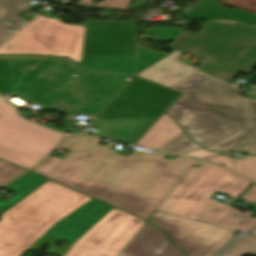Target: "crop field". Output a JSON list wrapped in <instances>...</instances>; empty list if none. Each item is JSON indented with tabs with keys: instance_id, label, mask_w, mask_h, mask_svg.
Instances as JSON below:
<instances>
[{
	"instance_id": "8a807250",
	"label": "crop field",
	"mask_w": 256,
	"mask_h": 256,
	"mask_svg": "<svg viewBox=\"0 0 256 256\" xmlns=\"http://www.w3.org/2000/svg\"><path fill=\"white\" fill-rule=\"evenodd\" d=\"M113 144L98 145L89 157L50 156L33 171L147 220L188 170L203 162L165 159L167 153L159 151L127 156L112 150Z\"/></svg>"
},
{
	"instance_id": "ac0d7876",
	"label": "crop field",
	"mask_w": 256,
	"mask_h": 256,
	"mask_svg": "<svg viewBox=\"0 0 256 256\" xmlns=\"http://www.w3.org/2000/svg\"><path fill=\"white\" fill-rule=\"evenodd\" d=\"M173 88L186 94L167 112L205 147L249 124L246 100L231 85L198 71Z\"/></svg>"
},
{
	"instance_id": "34b2d1b8",
	"label": "crop field",
	"mask_w": 256,
	"mask_h": 256,
	"mask_svg": "<svg viewBox=\"0 0 256 256\" xmlns=\"http://www.w3.org/2000/svg\"><path fill=\"white\" fill-rule=\"evenodd\" d=\"M81 66L66 58L0 56V94L14 93L40 107L69 113L88 104L79 89Z\"/></svg>"
},
{
	"instance_id": "412701ff",
	"label": "crop field",
	"mask_w": 256,
	"mask_h": 256,
	"mask_svg": "<svg viewBox=\"0 0 256 256\" xmlns=\"http://www.w3.org/2000/svg\"><path fill=\"white\" fill-rule=\"evenodd\" d=\"M91 199L48 181L1 216L0 256H21L57 222Z\"/></svg>"
},
{
	"instance_id": "f4fd0767",
	"label": "crop field",
	"mask_w": 256,
	"mask_h": 256,
	"mask_svg": "<svg viewBox=\"0 0 256 256\" xmlns=\"http://www.w3.org/2000/svg\"><path fill=\"white\" fill-rule=\"evenodd\" d=\"M179 95L135 77L90 127L101 129L96 136L135 144Z\"/></svg>"
},
{
	"instance_id": "dd49c442",
	"label": "crop field",
	"mask_w": 256,
	"mask_h": 256,
	"mask_svg": "<svg viewBox=\"0 0 256 256\" xmlns=\"http://www.w3.org/2000/svg\"><path fill=\"white\" fill-rule=\"evenodd\" d=\"M173 48L209 59L201 71L231 80L256 66V26L209 21L198 34L185 32Z\"/></svg>"
},
{
	"instance_id": "e52e79f7",
	"label": "crop field",
	"mask_w": 256,
	"mask_h": 256,
	"mask_svg": "<svg viewBox=\"0 0 256 256\" xmlns=\"http://www.w3.org/2000/svg\"><path fill=\"white\" fill-rule=\"evenodd\" d=\"M251 185L235 173L204 161L200 168L189 170L157 210L193 219L216 191L238 199Z\"/></svg>"
},
{
	"instance_id": "d8731c3e",
	"label": "crop field",
	"mask_w": 256,
	"mask_h": 256,
	"mask_svg": "<svg viewBox=\"0 0 256 256\" xmlns=\"http://www.w3.org/2000/svg\"><path fill=\"white\" fill-rule=\"evenodd\" d=\"M64 135L21 118L0 97V158L28 169L43 160Z\"/></svg>"
},
{
	"instance_id": "5a996713",
	"label": "crop field",
	"mask_w": 256,
	"mask_h": 256,
	"mask_svg": "<svg viewBox=\"0 0 256 256\" xmlns=\"http://www.w3.org/2000/svg\"><path fill=\"white\" fill-rule=\"evenodd\" d=\"M85 26L39 14L0 47V54L68 56L81 64Z\"/></svg>"
},
{
	"instance_id": "3316defc",
	"label": "crop field",
	"mask_w": 256,
	"mask_h": 256,
	"mask_svg": "<svg viewBox=\"0 0 256 256\" xmlns=\"http://www.w3.org/2000/svg\"><path fill=\"white\" fill-rule=\"evenodd\" d=\"M163 229L187 256H211L235 231L155 211L147 220Z\"/></svg>"
},
{
	"instance_id": "28ad6ade",
	"label": "crop field",
	"mask_w": 256,
	"mask_h": 256,
	"mask_svg": "<svg viewBox=\"0 0 256 256\" xmlns=\"http://www.w3.org/2000/svg\"><path fill=\"white\" fill-rule=\"evenodd\" d=\"M144 222L114 208L74 243L65 256H117Z\"/></svg>"
},
{
	"instance_id": "d1516ede",
	"label": "crop field",
	"mask_w": 256,
	"mask_h": 256,
	"mask_svg": "<svg viewBox=\"0 0 256 256\" xmlns=\"http://www.w3.org/2000/svg\"><path fill=\"white\" fill-rule=\"evenodd\" d=\"M123 53H136L132 21L87 22L83 55Z\"/></svg>"
},
{
	"instance_id": "22f410ed",
	"label": "crop field",
	"mask_w": 256,
	"mask_h": 256,
	"mask_svg": "<svg viewBox=\"0 0 256 256\" xmlns=\"http://www.w3.org/2000/svg\"><path fill=\"white\" fill-rule=\"evenodd\" d=\"M111 209L113 207L93 199L57 223L46 235L72 245Z\"/></svg>"
},
{
	"instance_id": "cbeb9de0",
	"label": "crop field",
	"mask_w": 256,
	"mask_h": 256,
	"mask_svg": "<svg viewBox=\"0 0 256 256\" xmlns=\"http://www.w3.org/2000/svg\"><path fill=\"white\" fill-rule=\"evenodd\" d=\"M118 256H184L155 226L145 222Z\"/></svg>"
},
{
	"instance_id": "5142ce71",
	"label": "crop field",
	"mask_w": 256,
	"mask_h": 256,
	"mask_svg": "<svg viewBox=\"0 0 256 256\" xmlns=\"http://www.w3.org/2000/svg\"><path fill=\"white\" fill-rule=\"evenodd\" d=\"M214 209H217V211H214ZM236 214L239 215L234 217ZM253 214L249 212L242 214L230 206L209 199L194 220L247 232L256 225V219L250 218ZM241 221L244 223L241 224Z\"/></svg>"
},
{
	"instance_id": "d9b57169",
	"label": "crop field",
	"mask_w": 256,
	"mask_h": 256,
	"mask_svg": "<svg viewBox=\"0 0 256 256\" xmlns=\"http://www.w3.org/2000/svg\"><path fill=\"white\" fill-rule=\"evenodd\" d=\"M183 52H175L162 61L158 62L151 68L145 70L144 72L136 75L156 83L162 84L169 88L173 87L177 83L181 82L191 74L195 73L196 70L175 58L181 55Z\"/></svg>"
},
{
	"instance_id": "733c2abd",
	"label": "crop field",
	"mask_w": 256,
	"mask_h": 256,
	"mask_svg": "<svg viewBox=\"0 0 256 256\" xmlns=\"http://www.w3.org/2000/svg\"><path fill=\"white\" fill-rule=\"evenodd\" d=\"M183 130L165 112L156 124L136 143L158 149Z\"/></svg>"
},
{
	"instance_id": "4a817a6b",
	"label": "crop field",
	"mask_w": 256,
	"mask_h": 256,
	"mask_svg": "<svg viewBox=\"0 0 256 256\" xmlns=\"http://www.w3.org/2000/svg\"><path fill=\"white\" fill-rule=\"evenodd\" d=\"M49 179L39 176L34 173H27L21 178L14 181L7 187H3L12 191L17 192L18 194L9 200L4 202L0 201V216L28 196L30 193L35 191L41 185L46 183Z\"/></svg>"
},
{
	"instance_id": "bc2a9ffb",
	"label": "crop field",
	"mask_w": 256,
	"mask_h": 256,
	"mask_svg": "<svg viewBox=\"0 0 256 256\" xmlns=\"http://www.w3.org/2000/svg\"><path fill=\"white\" fill-rule=\"evenodd\" d=\"M31 0H0V43L10 37L13 32H9L5 28L11 27L19 29L22 27L28 20L17 16L18 14L32 8L28 4ZM6 20L18 22L9 26L3 23Z\"/></svg>"
},
{
	"instance_id": "214f88e0",
	"label": "crop field",
	"mask_w": 256,
	"mask_h": 256,
	"mask_svg": "<svg viewBox=\"0 0 256 256\" xmlns=\"http://www.w3.org/2000/svg\"><path fill=\"white\" fill-rule=\"evenodd\" d=\"M249 103L252 119L251 126L248 129L208 148L209 150L226 151L243 143L256 141V99H249Z\"/></svg>"
},
{
	"instance_id": "92a150f3",
	"label": "crop field",
	"mask_w": 256,
	"mask_h": 256,
	"mask_svg": "<svg viewBox=\"0 0 256 256\" xmlns=\"http://www.w3.org/2000/svg\"><path fill=\"white\" fill-rule=\"evenodd\" d=\"M207 160L213 161L215 163L226 164L230 169L253 181H256V156L246 155L240 161L222 156L212 157Z\"/></svg>"
},
{
	"instance_id": "dafd665d",
	"label": "crop field",
	"mask_w": 256,
	"mask_h": 256,
	"mask_svg": "<svg viewBox=\"0 0 256 256\" xmlns=\"http://www.w3.org/2000/svg\"><path fill=\"white\" fill-rule=\"evenodd\" d=\"M100 141V138L84 135L68 136L59 148L89 156Z\"/></svg>"
},
{
	"instance_id": "00972430",
	"label": "crop field",
	"mask_w": 256,
	"mask_h": 256,
	"mask_svg": "<svg viewBox=\"0 0 256 256\" xmlns=\"http://www.w3.org/2000/svg\"><path fill=\"white\" fill-rule=\"evenodd\" d=\"M247 254L256 255V236L255 235H251L243 239H238L223 253H221L220 256H244Z\"/></svg>"
},
{
	"instance_id": "a9b5d70f",
	"label": "crop field",
	"mask_w": 256,
	"mask_h": 256,
	"mask_svg": "<svg viewBox=\"0 0 256 256\" xmlns=\"http://www.w3.org/2000/svg\"><path fill=\"white\" fill-rule=\"evenodd\" d=\"M201 148L196 143L189 140L184 133H180L177 137H175L173 140L168 142L166 145L160 148V150L173 152L177 154H183L185 152H188L192 149Z\"/></svg>"
},
{
	"instance_id": "4177f3b9",
	"label": "crop field",
	"mask_w": 256,
	"mask_h": 256,
	"mask_svg": "<svg viewBox=\"0 0 256 256\" xmlns=\"http://www.w3.org/2000/svg\"><path fill=\"white\" fill-rule=\"evenodd\" d=\"M58 240H55L53 238H50L46 235H44L41 239H39L32 247H30L28 250L31 251H37L44 243L50 244L47 254L55 255V256H63L69 249L70 247L68 244L62 245L58 248H54L52 245Z\"/></svg>"
},
{
	"instance_id": "730fd06b",
	"label": "crop field",
	"mask_w": 256,
	"mask_h": 256,
	"mask_svg": "<svg viewBox=\"0 0 256 256\" xmlns=\"http://www.w3.org/2000/svg\"><path fill=\"white\" fill-rule=\"evenodd\" d=\"M27 170L0 160V184H5Z\"/></svg>"
},
{
	"instance_id": "eef30255",
	"label": "crop field",
	"mask_w": 256,
	"mask_h": 256,
	"mask_svg": "<svg viewBox=\"0 0 256 256\" xmlns=\"http://www.w3.org/2000/svg\"><path fill=\"white\" fill-rule=\"evenodd\" d=\"M93 0H83L80 6H93ZM131 0H104V2L96 4L98 8L121 9L127 10Z\"/></svg>"
},
{
	"instance_id": "ae1a2a85",
	"label": "crop field",
	"mask_w": 256,
	"mask_h": 256,
	"mask_svg": "<svg viewBox=\"0 0 256 256\" xmlns=\"http://www.w3.org/2000/svg\"><path fill=\"white\" fill-rule=\"evenodd\" d=\"M241 200L247 201L246 204L256 207V184L251 187Z\"/></svg>"
},
{
	"instance_id": "d3111659",
	"label": "crop field",
	"mask_w": 256,
	"mask_h": 256,
	"mask_svg": "<svg viewBox=\"0 0 256 256\" xmlns=\"http://www.w3.org/2000/svg\"><path fill=\"white\" fill-rule=\"evenodd\" d=\"M214 154H218V153L209 152L205 149H200L198 151L190 152L186 155L187 156H193V157H206V156H210V155H214Z\"/></svg>"
},
{
	"instance_id": "750c4746",
	"label": "crop field",
	"mask_w": 256,
	"mask_h": 256,
	"mask_svg": "<svg viewBox=\"0 0 256 256\" xmlns=\"http://www.w3.org/2000/svg\"><path fill=\"white\" fill-rule=\"evenodd\" d=\"M233 151H242V152H245V153L256 154V143L246 145V146H242V147L237 148Z\"/></svg>"
},
{
	"instance_id": "bd1437ed",
	"label": "crop field",
	"mask_w": 256,
	"mask_h": 256,
	"mask_svg": "<svg viewBox=\"0 0 256 256\" xmlns=\"http://www.w3.org/2000/svg\"><path fill=\"white\" fill-rule=\"evenodd\" d=\"M251 234H255V235H256V230H255V231H253Z\"/></svg>"
}]
</instances>
